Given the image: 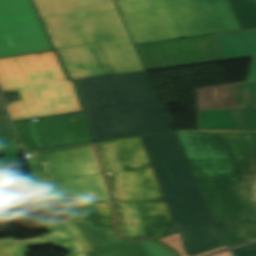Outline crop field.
I'll return each mask as SVG.
<instances>
[{"label":"crop field","instance_id":"obj_1","mask_svg":"<svg viewBox=\"0 0 256 256\" xmlns=\"http://www.w3.org/2000/svg\"><path fill=\"white\" fill-rule=\"evenodd\" d=\"M95 141L172 130L113 0H33Z\"/></svg>","mask_w":256,"mask_h":256},{"label":"crop field","instance_id":"obj_2","mask_svg":"<svg viewBox=\"0 0 256 256\" xmlns=\"http://www.w3.org/2000/svg\"><path fill=\"white\" fill-rule=\"evenodd\" d=\"M175 133L228 247L256 239V131Z\"/></svg>","mask_w":256,"mask_h":256},{"label":"crop field","instance_id":"obj_3","mask_svg":"<svg viewBox=\"0 0 256 256\" xmlns=\"http://www.w3.org/2000/svg\"><path fill=\"white\" fill-rule=\"evenodd\" d=\"M136 45L256 28V0H116Z\"/></svg>","mask_w":256,"mask_h":256},{"label":"crop field","instance_id":"obj_4","mask_svg":"<svg viewBox=\"0 0 256 256\" xmlns=\"http://www.w3.org/2000/svg\"><path fill=\"white\" fill-rule=\"evenodd\" d=\"M108 175L123 238L156 239L175 231L139 137L96 144Z\"/></svg>","mask_w":256,"mask_h":256},{"label":"crop field","instance_id":"obj_5","mask_svg":"<svg viewBox=\"0 0 256 256\" xmlns=\"http://www.w3.org/2000/svg\"><path fill=\"white\" fill-rule=\"evenodd\" d=\"M179 232L158 239L180 256L228 248L173 132L141 137Z\"/></svg>","mask_w":256,"mask_h":256},{"label":"crop field","instance_id":"obj_6","mask_svg":"<svg viewBox=\"0 0 256 256\" xmlns=\"http://www.w3.org/2000/svg\"><path fill=\"white\" fill-rule=\"evenodd\" d=\"M0 86L21 94L7 105L13 120L82 111L54 51L0 59Z\"/></svg>","mask_w":256,"mask_h":256},{"label":"crop field","instance_id":"obj_7","mask_svg":"<svg viewBox=\"0 0 256 256\" xmlns=\"http://www.w3.org/2000/svg\"><path fill=\"white\" fill-rule=\"evenodd\" d=\"M44 226L50 233L40 238L0 240V256H25L27 248L47 243L70 252L67 256H176L155 241H125L112 228L86 222L62 220Z\"/></svg>","mask_w":256,"mask_h":256},{"label":"crop field","instance_id":"obj_8","mask_svg":"<svg viewBox=\"0 0 256 256\" xmlns=\"http://www.w3.org/2000/svg\"><path fill=\"white\" fill-rule=\"evenodd\" d=\"M31 154L28 162L35 185L49 197L111 202L93 144Z\"/></svg>","mask_w":256,"mask_h":256},{"label":"crop field","instance_id":"obj_9","mask_svg":"<svg viewBox=\"0 0 256 256\" xmlns=\"http://www.w3.org/2000/svg\"><path fill=\"white\" fill-rule=\"evenodd\" d=\"M0 21L12 41L0 25V57L52 49L30 0H0Z\"/></svg>","mask_w":256,"mask_h":256},{"label":"crop field","instance_id":"obj_10","mask_svg":"<svg viewBox=\"0 0 256 256\" xmlns=\"http://www.w3.org/2000/svg\"><path fill=\"white\" fill-rule=\"evenodd\" d=\"M14 123L26 152L92 142L82 112Z\"/></svg>","mask_w":256,"mask_h":256},{"label":"crop field","instance_id":"obj_11","mask_svg":"<svg viewBox=\"0 0 256 256\" xmlns=\"http://www.w3.org/2000/svg\"><path fill=\"white\" fill-rule=\"evenodd\" d=\"M136 47L147 71L222 60L214 35Z\"/></svg>","mask_w":256,"mask_h":256},{"label":"crop field","instance_id":"obj_12","mask_svg":"<svg viewBox=\"0 0 256 256\" xmlns=\"http://www.w3.org/2000/svg\"><path fill=\"white\" fill-rule=\"evenodd\" d=\"M249 108L248 82L198 89V129L204 110Z\"/></svg>","mask_w":256,"mask_h":256},{"label":"crop field","instance_id":"obj_13","mask_svg":"<svg viewBox=\"0 0 256 256\" xmlns=\"http://www.w3.org/2000/svg\"><path fill=\"white\" fill-rule=\"evenodd\" d=\"M250 109L204 111L200 129L256 130V82H249Z\"/></svg>","mask_w":256,"mask_h":256},{"label":"crop field","instance_id":"obj_14","mask_svg":"<svg viewBox=\"0 0 256 256\" xmlns=\"http://www.w3.org/2000/svg\"><path fill=\"white\" fill-rule=\"evenodd\" d=\"M71 213L76 221L114 228L115 215L111 203L79 201L67 198H51Z\"/></svg>","mask_w":256,"mask_h":256},{"label":"crop field","instance_id":"obj_15","mask_svg":"<svg viewBox=\"0 0 256 256\" xmlns=\"http://www.w3.org/2000/svg\"><path fill=\"white\" fill-rule=\"evenodd\" d=\"M215 37L223 60L256 56V30Z\"/></svg>","mask_w":256,"mask_h":256},{"label":"crop field","instance_id":"obj_16","mask_svg":"<svg viewBox=\"0 0 256 256\" xmlns=\"http://www.w3.org/2000/svg\"><path fill=\"white\" fill-rule=\"evenodd\" d=\"M0 151L5 158L0 159V165L9 162H19L16 154L21 153L16 143V137L7 115H0ZM13 184L7 174L0 172V185Z\"/></svg>","mask_w":256,"mask_h":256},{"label":"crop field","instance_id":"obj_17","mask_svg":"<svg viewBox=\"0 0 256 256\" xmlns=\"http://www.w3.org/2000/svg\"><path fill=\"white\" fill-rule=\"evenodd\" d=\"M34 196H39V194L36 191L27 188L23 191H20L16 194L4 199L3 201L11 203L16 200H23V199L34 197Z\"/></svg>","mask_w":256,"mask_h":256},{"label":"crop field","instance_id":"obj_18","mask_svg":"<svg viewBox=\"0 0 256 256\" xmlns=\"http://www.w3.org/2000/svg\"><path fill=\"white\" fill-rule=\"evenodd\" d=\"M233 256H256V243L231 250Z\"/></svg>","mask_w":256,"mask_h":256},{"label":"crop field","instance_id":"obj_19","mask_svg":"<svg viewBox=\"0 0 256 256\" xmlns=\"http://www.w3.org/2000/svg\"><path fill=\"white\" fill-rule=\"evenodd\" d=\"M247 81H256V58L252 59Z\"/></svg>","mask_w":256,"mask_h":256},{"label":"crop field","instance_id":"obj_20","mask_svg":"<svg viewBox=\"0 0 256 256\" xmlns=\"http://www.w3.org/2000/svg\"><path fill=\"white\" fill-rule=\"evenodd\" d=\"M0 114H7L6 110H5V107H4V104L2 102L1 96H0Z\"/></svg>","mask_w":256,"mask_h":256},{"label":"crop field","instance_id":"obj_21","mask_svg":"<svg viewBox=\"0 0 256 256\" xmlns=\"http://www.w3.org/2000/svg\"><path fill=\"white\" fill-rule=\"evenodd\" d=\"M217 256H229L228 252L226 253H223V254H220V255H217Z\"/></svg>","mask_w":256,"mask_h":256},{"label":"crop field","instance_id":"obj_22","mask_svg":"<svg viewBox=\"0 0 256 256\" xmlns=\"http://www.w3.org/2000/svg\"><path fill=\"white\" fill-rule=\"evenodd\" d=\"M197 131H215V130H197Z\"/></svg>","mask_w":256,"mask_h":256}]
</instances>
